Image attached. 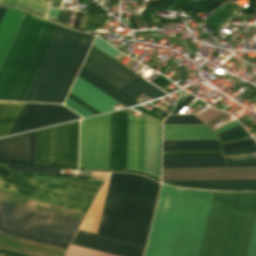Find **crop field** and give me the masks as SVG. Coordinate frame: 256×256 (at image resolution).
<instances>
[{
  "mask_svg": "<svg viewBox=\"0 0 256 256\" xmlns=\"http://www.w3.org/2000/svg\"><path fill=\"white\" fill-rule=\"evenodd\" d=\"M213 194L162 185L145 256H199Z\"/></svg>",
  "mask_w": 256,
  "mask_h": 256,
  "instance_id": "3",
  "label": "crop field"
},
{
  "mask_svg": "<svg viewBox=\"0 0 256 256\" xmlns=\"http://www.w3.org/2000/svg\"><path fill=\"white\" fill-rule=\"evenodd\" d=\"M0 220L73 237L81 221L0 201ZM0 221V232L67 248L71 238Z\"/></svg>",
  "mask_w": 256,
  "mask_h": 256,
  "instance_id": "5",
  "label": "crop field"
},
{
  "mask_svg": "<svg viewBox=\"0 0 256 256\" xmlns=\"http://www.w3.org/2000/svg\"><path fill=\"white\" fill-rule=\"evenodd\" d=\"M81 16H82V12H77V15H76V18L74 20V23H73V26L75 27H79V23H80V20H81Z\"/></svg>",
  "mask_w": 256,
  "mask_h": 256,
  "instance_id": "40",
  "label": "crop field"
},
{
  "mask_svg": "<svg viewBox=\"0 0 256 256\" xmlns=\"http://www.w3.org/2000/svg\"><path fill=\"white\" fill-rule=\"evenodd\" d=\"M163 140H218L205 125H163Z\"/></svg>",
  "mask_w": 256,
  "mask_h": 256,
  "instance_id": "16",
  "label": "crop field"
},
{
  "mask_svg": "<svg viewBox=\"0 0 256 256\" xmlns=\"http://www.w3.org/2000/svg\"><path fill=\"white\" fill-rule=\"evenodd\" d=\"M256 193L215 192L200 256H245ZM256 256V216L246 252Z\"/></svg>",
  "mask_w": 256,
  "mask_h": 256,
  "instance_id": "4",
  "label": "crop field"
},
{
  "mask_svg": "<svg viewBox=\"0 0 256 256\" xmlns=\"http://www.w3.org/2000/svg\"><path fill=\"white\" fill-rule=\"evenodd\" d=\"M251 148H256V145L249 146V147H244V148H240V149H235V150H230V151H225L223 153L226 154V153H231V152H236V151H241V150H246V149H251Z\"/></svg>",
  "mask_w": 256,
  "mask_h": 256,
  "instance_id": "41",
  "label": "crop field"
},
{
  "mask_svg": "<svg viewBox=\"0 0 256 256\" xmlns=\"http://www.w3.org/2000/svg\"><path fill=\"white\" fill-rule=\"evenodd\" d=\"M214 173H256V168H196L165 169L164 174H214ZM256 178V174H214V175H164V180L190 179H242ZM175 185L210 189H256V179L243 180H190L166 181Z\"/></svg>",
  "mask_w": 256,
  "mask_h": 256,
  "instance_id": "10",
  "label": "crop field"
},
{
  "mask_svg": "<svg viewBox=\"0 0 256 256\" xmlns=\"http://www.w3.org/2000/svg\"><path fill=\"white\" fill-rule=\"evenodd\" d=\"M68 98H70L71 100L75 101L76 103H78L79 105L83 106L84 108H86L87 110L91 111L94 114H98L99 113L98 111H96L95 109H93L89 105L85 104L84 102H82L81 100H79L78 98L73 96L72 94H69Z\"/></svg>",
  "mask_w": 256,
  "mask_h": 256,
  "instance_id": "33",
  "label": "crop field"
},
{
  "mask_svg": "<svg viewBox=\"0 0 256 256\" xmlns=\"http://www.w3.org/2000/svg\"><path fill=\"white\" fill-rule=\"evenodd\" d=\"M163 150H221L218 141H163Z\"/></svg>",
  "mask_w": 256,
  "mask_h": 256,
  "instance_id": "20",
  "label": "crop field"
},
{
  "mask_svg": "<svg viewBox=\"0 0 256 256\" xmlns=\"http://www.w3.org/2000/svg\"><path fill=\"white\" fill-rule=\"evenodd\" d=\"M6 167L11 170L22 172V173H33V172L59 173V171L61 170V168L31 167V166H17V165H6Z\"/></svg>",
  "mask_w": 256,
  "mask_h": 256,
  "instance_id": "23",
  "label": "crop field"
},
{
  "mask_svg": "<svg viewBox=\"0 0 256 256\" xmlns=\"http://www.w3.org/2000/svg\"><path fill=\"white\" fill-rule=\"evenodd\" d=\"M110 174L80 229L96 233ZM141 176L111 173L98 234L126 240ZM160 183L142 177L127 241L145 245Z\"/></svg>",
  "mask_w": 256,
  "mask_h": 256,
  "instance_id": "2",
  "label": "crop field"
},
{
  "mask_svg": "<svg viewBox=\"0 0 256 256\" xmlns=\"http://www.w3.org/2000/svg\"><path fill=\"white\" fill-rule=\"evenodd\" d=\"M128 114H111L109 169H126ZM145 115L140 117L139 171L143 172ZM159 121L146 115L144 172L157 177ZM139 119L135 118L133 170L138 171Z\"/></svg>",
  "mask_w": 256,
  "mask_h": 256,
  "instance_id": "6",
  "label": "crop field"
},
{
  "mask_svg": "<svg viewBox=\"0 0 256 256\" xmlns=\"http://www.w3.org/2000/svg\"><path fill=\"white\" fill-rule=\"evenodd\" d=\"M239 127H241V125H239V126H237V127H235V128H232V129H230V130H228V131H226V132H223V133L219 134L218 136H220V135H222V134H224V133H227V132H229V131H232V130H234V129H236V128H239Z\"/></svg>",
  "mask_w": 256,
  "mask_h": 256,
  "instance_id": "46",
  "label": "crop field"
},
{
  "mask_svg": "<svg viewBox=\"0 0 256 256\" xmlns=\"http://www.w3.org/2000/svg\"><path fill=\"white\" fill-rule=\"evenodd\" d=\"M222 153L221 151H163V154Z\"/></svg>",
  "mask_w": 256,
  "mask_h": 256,
  "instance_id": "31",
  "label": "crop field"
},
{
  "mask_svg": "<svg viewBox=\"0 0 256 256\" xmlns=\"http://www.w3.org/2000/svg\"><path fill=\"white\" fill-rule=\"evenodd\" d=\"M78 121L37 131L36 163L77 167Z\"/></svg>",
  "mask_w": 256,
  "mask_h": 256,
  "instance_id": "9",
  "label": "crop field"
},
{
  "mask_svg": "<svg viewBox=\"0 0 256 256\" xmlns=\"http://www.w3.org/2000/svg\"><path fill=\"white\" fill-rule=\"evenodd\" d=\"M78 76H80L87 82L91 83L92 85H94L95 87H97L98 89H100L101 91H103L104 93H106L107 95L117 100L118 102H120L126 107L134 104H138L137 101L125 95L124 93L120 92L119 90H117L116 88H114L113 86L105 82L104 80H102L100 77H98L97 75H95L94 73L86 69L85 67H82Z\"/></svg>",
  "mask_w": 256,
  "mask_h": 256,
  "instance_id": "18",
  "label": "crop field"
},
{
  "mask_svg": "<svg viewBox=\"0 0 256 256\" xmlns=\"http://www.w3.org/2000/svg\"><path fill=\"white\" fill-rule=\"evenodd\" d=\"M227 167L223 157L163 158L162 168Z\"/></svg>",
  "mask_w": 256,
  "mask_h": 256,
  "instance_id": "17",
  "label": "crop field"
},
{
  "mask_svg": "<svg viewBox=\"0 0 256 256\" xmlns=\"http://www.w3.org/2000/svg\"><path fill=\"white\" fill-rule=\"evenodd\" d=\"M223 156L222 154L163 155V157Z\"/></svg>",
  "mask_w": 256,
  "mask_h": 256,
  "instance_id": "35",
  "label": "crop field"
},
{
  "mask_svg": "<svg viewBox=\"0 0 256 256\" xmlns=\"http://www.w3.org/2000/svg\"><path fill=\"white\" fill-rule=\"evenodd\" d=\"M5 256V255H4Z\"/></svg>",
  "mask_w": 256,
  "mask_h": 256,
  "instance_id": "47",
  "label": "crop field"
},
{
  "mask_svg": "<svg viewBox=\"0 0 256 256\" xmlns=\"http://www.w3.org/2000/svg\"><path fill=\"white\" fill-rule=\"evenodd\" d=\"M93 38L94 36L92 35L83 34V37L51 103L63 102Z\"/></svg>",
  "mask_w": 256,
  "mask_h": 256,
  "instance_id": "15",
  "label": "crop field"
},
{
  "mask_svg": "<svg viewBox=\"0 0 256 256\" xmlns=\"http://www.w3.org/2000/svg\"><path fill=\"white\" fill-rule=\"evenodd\" d=\"M65 256H114V255L70 245Z\"/></svg>",
  "mask_w": 256,
  "mask_h": 256,
  "instance_id": "24",
  "label": "crop field"
},
{
  "mask_svg": "<svg viewBox=\"0 0 256 256\" xmlns=\"http://www.w3.org/2000/svg\"><path fill=\"white\" fill-rule=\"evenodd\" d=\"M110 114L81 121L79 167L108 169Z\"/></svg>",
  "mask_w": 256,
  "mask_h": 256,
  "instance_id": "11",
  "label": "crop field"
},
{
  "mask_svg": "<svg viewBox=\"0 0 256 256\" xmlns=\"http://www.w3.org/2000/svg\"><path fill=\"white\" fill-rule=\"evenodd\" d=\"M240 130H243V127L239 128V129H237V130H234V131H232V132H229V133H227V134H225V135H222V136H220V137L229 135V134H231V133H234V132H237V131H240ZM220 137H219V138H220Z\"/></svg>",
  "mask_w": 256,
  "mask_h": 256,
  "instance_id": "45",
  "label": "crop field"
},
{
  "mask_svg": "<svg viewBox=\"0 0 256 256\" xmlns=\"http://www.w3.org/2000/svg\"><path fill=\"white\" fill-rule=\"evenodd\" d=\"M47 1L50 2L51 0H47ZM47 1L45 0H0V3L26 7L28 9H31L46 15L49 4H50Z\"/></svg>",
  "mask_w": 256,
  "mask_h": 256,
  "instance_id": "22",
  "label": "crop field"
},
{
  "mask_svg": "<svg viewBox=\"0 0 256 256\" xmlns=\"http://www.w3.org/2000/svg\"><path fill=\"white\" fill-rule=\"evenodd\" d=\"M150 82H152L153 84H155V85H157L158 87H163V86H165V85H167V84H169V83H171V82H169L167 79H165L164 77H162V76H157L155 79H153L152 81H150Z\"/></svg>",
  "mask_w": 256,
  "mask_h": 256,
  "instance_id": "34",
  "label": "crop field"
},
{
  "mask_svg": "<svg viewBox=\"0 0 256 256\" xmlns=\"http://www.w3.org/2000/svg\"><path fill=\"white\" fill-rule=\"evenodd\" d=\"M193 96H189L183 103H181L175 110L174 114H177L191 99Z\"/></svg>",
  "mask_w": 256,
  "mask_h": 256,
  "instance_id": "38",
  "label": "crop field"
},
{
  "mask_svg": "<svg viewBox=\"0 0 256 256\" xmlns=\"http://www.w3.org/2000/svg\"><path fill=\"white\" fill-rule=\"evenodd\" d=\"M228 166H256V159L227 162Z\"/></svg>",
  "mask_w": 256,
  "mask_h": 256,
  "instance_id": "30",
  "label": "crop field"
},
{
  "mask_svg": "<svg viewBox=\"0 0 256 256\" xmlns=\"http://www.w3.org/2000/svg\"><path fill=\"white\" fill-rule=\"evenodd\" d=\"M237 125H239V123H238L237 120H236V121H234V122H232V123L226 125L225 127L221 128V129H219V130H217L216 132H217V134H219V133H221V132H223V131H226V130H228V129L232 128V127H235V126H237Z\"/></svg>",
  "mask_w": 256,
  "mask_h": 256,
  "instance_id": "36",
  "label": "crop field"
},
{
  "mask_svg": "<svg viewBox=\"0 0 256 256\" xmlns=\"http://www.w3.org/2000/svg\"><path fill=\"white\" fill-rule=\"evenodd\" d=\"M71 12L72 11L60 9L57 20L67 24L69 17L71 15Z\"/></svg>",
  "mask_w": 256,
  "mask_h": 256,
  "instance_id": "32",
  "label": "crop field"
},
{
  "mask_svg": "<svg viewBox=\"0 0 256 256\" xmlns=\"http://www.w3.org/2000/svg\"><path fill=\"white\" fill-rule=\"evenodd\" d=\"M10 177L25 180L27 182L9 178L19 184L7 182V177L0 176V192L37 201L55 204L87 212L98 190L64 182L62 186L20 177L10 174Z\"/></svg>",
  "mask_w": 256,
  "mask_h": 256,
  "instance_id": "7",
  "label": "crop field"
},
{
  "mask_svg": "<svg viewBox=\"0 0 256 256\" xmlns=\"http://www.w3.org/2000/svg\"><path fill=\"white\" fill-rule=\"evenodd\" d=\"M93 47L83 66L119 90L140 77Z\"/></svg>",
  "mask_w": 256,
  "mask_h": 256,
  "instance_id": "12",
  "label": "crop field"
},
{
  "mask_svg": "<svg viewBox=\"0 0 256 256\" xmlns=\"http://www.w3.org/2000/svg\"><path fill=\"white\" fill-rule=\"evenodd\" d=\"M0 253L10 255V256H28V255H23V254H19V253L7 251V250H2V249H0Z\"/></svg>",
  "mask_w": 256,
  "mask_h": 256,
  "instance_id": "39",
  "label": "crop field"
},
{
  "mask_svg": "<svg viewBox=\"0 0 256 256\" xmlns=\"http://www.w3.org/2000/svg\"><path fill=\"white\" fill-rule=\"evenodd\" d=\"M185 120V121H183ZM165 124H203L192 115L172 116L169 117Z\"/></svg>",
  "mask_w": 256,
  "mask_h": 256,
  "instance_id": "25",
  "label": "crop field"
},
{
  "mask_svg": "<svg viewBox=\"0 0 256 256\" xmlns=\"http://www.w3.org/2000/svg\"><path fill=\"white\" fill-rule=\"evenodd\" d=\"M65 106H67L68 108L72 109L73 111H75L76 113L80 114L81 116L85 117V116H89V115H93L91 112L87 111L86 109H84L83 107L79 106L78 104H76L75 102L71 101L70 99H67Z\"/></svg>",
  "mask_w": 256,
  "mask_h": 256,
  "instance_id": "27",
  "label": "crop field"
},
{
  "mask_svg": "<svg viewBox=\"0 0 256 256\" xmlns=\"http://www.w3.org/2000/svg\"><path fill=\"white\" fill-rule=\"evenodd\" d=\"M22 105L0 102V136H6ZM78 118L62 105L24 103L7 136Z\"/></svg>",
  "mask_w": 256,
  "mask_h": 256,
  "instance_id": "8",
  "label": "crop field"
},
{
  "mask_svg": "<svg viewBox=\"0 0 256 256\" xmlns=\"http://www.w3.org/2000/svg\"><path fill=\"white\" fill-rule=\"evenodd\" d=\"M36 131L18 136L17 162L35 163Z\"/></svg>",
  "mask_w": 256,
  "mask_h": 256,
  "instance_id": "19",
  "label": "crop field"
},
{
  "mask_svg": "<svg viewBox=\"0 0 256 256\" xmlns=\"http://www.w3.org/2000/svg\"><path fill=\"white\" fill-rule=\"evenodd\" d=\"M254 144H255V142H254L253 138H250V139L222 145L221 147H222V150L225 151V150L235 149V148H239V147L254 145Z\"/></svg>",
  "mask_w": 256,
  "mask_h": 256,
  "instance_id": "26",
  "label": "crop field"
},
{
  "mask_svg": "<svg viewBox=\"0 0 256 256\" xmlns=\"http://www.w3.org/2000/svg\"><path fill=\"white\" fill-rule=\"evenodd\" d=\"M56 27L26 13L0 67V100L21 101ZM61 27H57L22 100H52L82 36Z\"/></svg>",
  "mask_w": 256,
  "mask_h": 256,
  "instance_id": "1",
  "label": "crop field"
},
{
  "mask_svg": "<svg viewBox=\"0 0 256 256\" xmlns=\"http://www.w3.org/2000/svg\"><path fill=\"white\" fill-rule=\"evenodd\" d=\"M86 25L101 27V25H102V24L87 22V24H86Z\"/></svg>",
  "mask_w": 256,
  "mask_h": 256,
  "instance_id": "44",
  "label": "crop field"
},
{
  "mask_svg": "<svg viewBox=\"0 0 256 256\" xmlns=\"http://www.w3.org/2000/svg\"><path fill=\"white\" fill-rule=\"evenodd\" d=\"M5 11H6L5 7H0V21H1L2 17H3V15H4Z\"/></svg>",
  "mask_w": 256,
  "mask_h": 256,
  "instance_id": "43",
  "label": "crop field"
},
{
  "mask_svg": "<svg viewBox=\"0 0 256 256\" xmlns=\"http://www.w3.org/2000/svg\"><path fill=\"white\" fill-rule=\"evenodd\" d=\"M122 92L128 94L132 98H137L141 94H146L149 97L155 99L157 97H160L162 95H166L164 92L153 86L152 84L146 82L141 77L126 86L121 90Z\"/></svg>",
  "mask_w": 256,
  "mask_h": 256,
  "instance_id": "21",
  "label": "crop field"
},
{
  "mask_svg": "<svg viewBox=\"0 0 256 256\" xmlns=\"http://www.w3.org/2000/svg\"><path fill=\"white\" fill-rule=\"evenodd\" d=\"M72 244L119 256H142L145 247L81 230H78Z\"/></svg>",
  "mask_w": 256,
  "mask_h": 256,
  "instance_id": "13",
  "label": "crop field"
},
{
  "mask_svg": "<svg viewBox=\"0 0 256 256\" xmlns=\"http://www.w3.org/2000/svg\"><path fill=\"white\" fill-rule=\"evenodd\" d=\"M70 93L101 113L113 110L111 105L118 104L80 77H77Z\"/></svg>",
  "mask_w": 256,
  "mask_h": 256,
  "instance_id": "14",
  "label": "crop field"
},
{
  "mask_svg": "<svg viewBox=\"0 0 256 256\" xmlns=\"http://www.w3.org/2000/svg\"><path fill=\"white\" fill-rule=\"evenodd\" d=\"M222 113L223 112L216 111V110L210 108V109L206 110L205 112H203L202 114H200L197 117L200 118L202 121H204L206 123V122L212 120L213 118L217 117L218 115H220Z\"/></svg>",
  "mask_w": 256,
  "mask_h": 256,
  "instance_id": "28",
  "label": "crop field"
},
{
  "mask_svg": "<svg viewBox=\"0 0 256 256\" xmlns=\"http://www.w3.org/2000/svg\"><path fill=\"white\" fill-rule=\"evenodd\" d=\"M245 137H249V134L245 130H243V131L234 133L232 135L220 138L219 140H220V143L222 144V143L234 141V140L245 138Z\"/></svg>",
  "mask_w": 256,
  "mask_h": 256,
  "instance_id": "29",
  "label": "crop field"
},
{
  "mask_svg": "<svg viewBox=\"0 0 256 256\" xmlns=\"http://www.w3.org/2000/svg\"><path fill=\"white\" fill-rule=\"evenodd\" d=\"M228 116H229V115H227V114L224 113V114L218 116L217 118L213 119L212 121H210V122H208V123H206V124H208L209 126H211V125H213V124L219 122L220 120H222V119H224V118H226V117H228Z\"/></svg>",
  "mask_w": 256,
  "mask_h": 256,
  "instance_id": "37",
  "label": "crop field"
},
{
  "mask_svg": "<svg viewBox=\"0 0 256 256\" xmlns=\"http://www.w3.org/2000/svg\"><path fill=\"white\" fill-rule=\"evenodd\" d=\"M249 152H256V149H251V150H246V151H241V152L226 154V155H224V156L235 155V154H242V153H249Z\"/></svg>",
  "mask_w": 256,
  "mask_h": 256,
  "instance_id": "42",
  "label": "crop field"
}]
</instances>
